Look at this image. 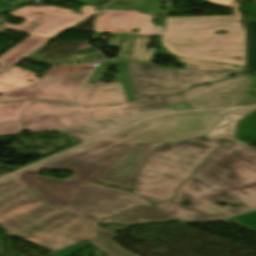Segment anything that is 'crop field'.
<instances>
[{"instance_id":"8a807250","label":"crop field","mask_w":256,"mask_h":256,"mask_svg":"<svg viewBox=\"0 0 256 256\" xmlns=\"http://www.w3.org/2000/svg\"><path fill=\"white\" fill-rule=\"evenodd\" d=\"M97 223L46 204L12 176L0 181V225L10 236L56 251L97 237Z\"/></svg>"},{"instance_id":"ac0d7876","label":"crop field","mask_w":256,"mask_h":256,"mask_svg":"<svg viewBox=\"0 0 256 256\" xmlns=\"http://www.w3.org/2000/svg\"><path fill=\"white\" fill-rule=\"evenodd\" d=\"M129 128L26 169L15 176L43 200L62 208L90 184L89 181L136 146L118 141ZM41 169H73L76 176L64 181L35 176Z\"/></svg>"},{"instance_id":"34b2d1b8","label":"crop field","mask_w":256,"mask_h":256,"mask_svg":"<svg viewBox=\"0 0 256 256\" xmlns=\"http://www.w3.org/2000/svg\"><path fill=\"white\" fill-rule=\"evenodd\" d=\"M240 4L233 16L167 18L162 45L173 56L246 66L245 28ZM228 31L227 35H215Z\"/></svg>"},{"instance_id":"412701ff","label":"crop field","mask_w":256,"mask_h":256,"mask_svg":"<svg viewBox=\"0 0 256 256\" xmlns=\"http://www.w3.org/2000/svg\"><path fill=\"white\" fill-rule=\"evenodd\" d=\"M226 141L203 136L158 148L136 179L133 194L155 203L174 197L179 184Z\"/></svg>"},{"instance_id":"f4fd0767","label":"crop field","mask_w":256,"mask_h":256,"mask_svg":"<svg viewBox=\"0 0 256 256\" xmlns=\"http://www.w3.org/2000/svg\"><path fill=\"white\" fill-rule=\"evenodd\" d=\"M96 6H84L81 8L82 14L73 13L72 10L56 6H26L16 10L9 15L27 19L22 26H15L5 23L3 26L9 30L32 34L19 45L0 57V72L13 66L46 41L54 37L57 33L66 30L75 24L83 21L93 15ZM35 11L42 14H34ZM36 21V22H33ZM43 23V24H40ZM34 23H37L36 25ZM30 26L33 32H30ZM47 43V42H46ZM36 74L14 66L7 72L0 74V93H4L25 85L33 84L38 79L34 78ZM33 79L32 81L29 79Z\"/></svg>"},{"instance_id":"dd49c442","label":"crop field","mask_w":256,"mask_h":256,"mask_svg":"<svg viewBox=\"0 0 256 256\" xmlns=\"http://www.w3.org/2000/svg\"><path fill=\"white\" fill-rule=\"evenodd\" d=\"M136 112L130 102L97 108L42 101L0 103V136L18 134L21 129L29 132L67 129Z\"/></svg>"},{"instance_id":"e52e79f7","label":"crop field","mask_w":256,"mask_h":256,"mask_svg":"<svg viewBox=\"0 0 256 256\" xmlns=\"http://www.w3.org/2000/svg\"><path fill=\"white\" fill-rule=\"evenodd\" d=\"M196 174L226 188L247 207L256 209V153L241 144H224Z\"/></svg>"},{"instance_id":"d8731c3e","label":"crop field","mask_w":256,"mask_h":256,"mask_svg":"<svg viewBox=\"0 0 256 256\" xmlns=\"http://www.w3.org/2000/svg\"><path fill=\"white\" fill-rule=\"evenodd\" d=\"M230 109L168 114L133 125L119 140L156 147L208 132Z\"/></svg>"},{"instance_id":"5a996713","label":"crop field","mask_w":256,"mask_h":256,"mask_svg":"<svg viewBox=\"0 0 256 256\" xmlns=\"http://www.w3.org/2000/svg\"><path fill=\"white\" fill-rule=\"evenodd\" d=\"M216 188L221 191H215ZM183 199H190L194 204L187 208L181 207L178 204ZM222 199L239 202L227 190L194 174L190 181L183 184L174 200L156 206L182 221L220 220L250 211L247 207L235 209L230 205L219 207L214 203Z\"/></svg>"},{"instance_id":"3316defc","label":"crop field","mask_w":256,"mask_h":256,"mask_svg":"<svg viewBox=\"0 0 256 256\" xmlns=\"http://www.w3.org/2000/svg\"><path fill=\"white\" fill-rule=\"evenodd\" d=\"M135 97L178 94L195 85L219 80L235 72L165 69L129 63ZM179 74V77H174Z\"/></svg>"},{"instance_id":"28ad6ade","label":"crop field","mask_w":256,"mask_h":256,"mask_svg":"<svg viewBox=\"0 0 256 256\" xmlns=\"http://www.w3.org/2000/svg\"><path fill=\"white\" fill-rule=\"evenodd\" d=\"M141 205L151 204L127 192L90 184L62 209L97 221Z\"/></svg>"},{"instance_id":"d1516ede","label":"crop field","mask_w":256,"mask_h":256,"mask_svg":"<svg viewBox=\"0 0 256 256\" xmlns=\"http://www.w3.org/2000/svg\"><path fill=\"white\" fill-rule=\"evenodd\" d=\"M93 70H83L64 76L43 75L38 82L0 96L1 101L41 99L71 102Z\"/></svg>"},{"instance_id":"22f410ed","label":"crop field","mask_w":256,"mask_h":256,"mask_svg":"<svg viewBox=\"0 0 256 256\" xmlns=\"http://www.w3.org/2000/svg\"><path fill=\"white\" fill-rule=\"evenodd\" d=\"M152 16L137 11L105 10L98 15L95 32L162 36L164 26L154 27ZM139 29V33H131Z\"/></svg>"},{"instance_id":"cbeb9de0","label":"crop field","mask_w":256,"mask_h":256,"mask_svg":"<svg viewBox=\"0 0 256 256\" xmlns=\"http://www.w3.org/2000/svg\"><path fill=\"white\" fill-rule=\"evenodd\" d=\"M154 150L137 145L94 180L129 188L132 179L140 173Z\"/></svg>"},{"instance_id":"5142ce71","label":"crop field","mask_w":256,"mask_h":256,"mask_svg":"<svg viewBox=\"0 0 256 256\" xmlns=\"http://www.w3.org/2000/svg\"><path fill=\"white\" fill-rule=\"evenodd\" d=\"M166 111H171L168 106L142 112V113H137V114H131V115H125L117 118H112L88 125H83L67 130H59L69 137L73 138L74 140L83 143L87 140H90L94 137H97L99 135L105 134L107 132L113 131L119 127H122L134 120L144 118L150 115L166 112Z\"/></svg>"},{"instance_id":"d9b57169","label":"crop field","mask_w":256,"mask_h":256,"mask_svg":"<svg viewBox=\"0 0 256 256\" xmlns=\"http://www.w3.org/2000/svg\"><path fill=\"white\" fill-rule=\"evenodd\" d=\"M111 35H115L116 38L112 39L110 36L109 46L121 47L119 56L118 59H104L103 61H121L149 64L157 54V52L146 50L150 36L123 34ZM121 40L125 41L122 45H120ZM129 50L135 53L132 57L126 55V52ZM121 52H123V54H121Z\"/></svg>"},{"instance_id":"733c2abd","label":"crop field","mask_w":256,"mask_h":256,"mask_svg":"<svg viewBox=\"0 0 256 256\" xmlns=\"http://www.w3.org/2000/svg\"><path fill=\"white\" fill-rule=\"evenodd\" d=\"M127 101L120 83L89 84L80 93L75 103L85 107L116 105Z\"/></svg>"},{"instance_id":"4a817a6b","label":"crop field","mask_w":256,"mask_h":256,"mask_svg":"<svg viewBox=\"0 0 256 256\" xmlns=\"http://www.w3.org/2000/svg\"><path fill=\"white\" fill-rule=\"evenodd\" d=\"M251 79H247L235 86L228 87L189 102L195 108H218L237 105L242 99L241 94L246 91Z\"/></svg>"},{"instance_id":"bc2a9ffb","label":"crop field","mask_w":256,"mask_h":256,"mask_svg":"<svg viewBox=\"0 0 256 256\" xmlns=\"http://www.w3.org/2000/svg\"><path fill=\"white\" fill-rule=\"evenodd\" d=\"M171 219H176V218L155 206H151V207L137 208L124 215L105 219V221L133 224V223H139V222H155V221H164V220H171Z\"/></svg>"},{"instance_id":"214f88e0","label":"crop field","mask_w":256,"mask_h":256,"mask_svg":"<svg viewBox=\"0 0 256 256\" xmlns=\"http://www.w3.org/2000/svg\"><path fill=\"white\" fill-rule=\"evenodd\" d=\"M105 65H108V67L109 65L118 67L120 75L115 76L116 82H121L125 96L128 101L135 99L128 63H121V62L102 63L99 67L96 68L95 72L89 79L88 83L100 82V80L102 79V77L104 76V74L108 69V67L107 69L104 68Z\"/></svg>"},{"instance_id":"92a150f3","label":"crop field","mask_w":256,"mask_h":256,"mask_svg":"<svg viewBox=\"0 0 256 256\" xmlns=\"http://www.w3.org/2000/svg\"><path fill=\"white\" fill-rule=\"evenodd\" d=\"M256 108L234 109L212 132L210 136L233 138L235 125L240 118L248 115Z\"/></svg>"},{"instance_id":"dafd665d","label":"crop field","mask_w":256,"mask_h":256,"mask_svg":"<svg viewBox=\"0 0 256 256\" xmlns=\"http://www.w3.org/2000/svg\"><path fill=\"white\" fill-rule=\"evenodd\" d=\"M177 61H179L180 64L184 65L186 69H199V70H221V71H245L246 67L238 66L233 67L236 65H225L223 63L213 62H206V61H200V60H193V59H186V58H180L177 57Z\"/></svg>"},{"instance_id":"00972430","label":"crop field","mask_w":256,"mask_h":256,"mask_svg":"<svg viewBox=\"0 0 256 256\" xmlns=\"http://www.w3.org/2000/svg\"><path fill=\"white\" fill-rule=\"evenodd\" d=\"M246 78H248V77L243 76V77H238V78L228 80V81L213 83L210 86H207V85L199 86V87H196L192 90L187 91L186 93H184L182 95L187 100V102H189L191 100H194L196 98H199L201 96H204L206 94L214 92V91L219 90L221 88L232 86V85H234V84H236V83H238V82H240V81H242Z\"/></svg>"},{"instance_id":"a9b5d70f","label":"crop field","mask_w":256,"mask_h":256,"mask_svg":"<svg viewBox=\"0 0 256 256\" xmlns=\"http://www.w3.org/2000/svg\"><path fill=\"white\" fill-rule=\"evenodd\" d=\"M246 47V71H256V22L246 21Z\"/></svg>"},{"instance_id":"4177f3b9","label":"crop field","mask_w":256,"mask_h":256,"mask_svg":"<svg viewBox=\"0 0 256 256\" xmlns=\"http://www.w3.org/2000/svg\"><path fill=\"white\" fill-rule=\"evenodd\" d=\"M100 237L107 236L108 240H102L99 238L95 239L92 243L101 248L104 252H106L110 256H137L129 251H126L120 247H118L113 241L114 235L111 231L108 230H99Z\"/></svg>"},{"instance_id":"730fd06b","label":"crop field","mask_w":256,"mask_h":256,"mask_svg":"<svg viewBox=\"0 0 256 256\" xmlns=\"http://www.w3.org/2000/svg\"><path fill=\"white\" fill-rule=\"evenodd\" d=\"M184 102L183 99L178 96H173V97H148L145 99H141L139 101H133L131 102L135 108L141 112L165 105H170V104H176V103H182Z\"/></svg>"},{"instance_id":"eef30255","label":"crop field","mask_w":256,"mask_h":256,"mask_svg":"<svg viewBox=\"0 0 256 256\" xmlns=\"http://www.w3.org/2000/svg\"><path fill=\"white\" fill-rule=\"evenodd\" d=\"M250 135L252 142H247L242 136ZM235 139L242 141L243 143L249 145L256 142V111L247 117L246 119L240 121L238 126V135Z\"/></svg>"},{"instance_id":"ae1a2a85","label":"crop field","mask_w":256,"mask_h":256,"mask_svg":"<svg viewBox=\"0 0 256 256\" xmlns=\"http://www.w3.org/2000/svg\"><path fill=\"white\" fill-rule=\"evenodd\" d=\"M226 221L229 220H233V221H237L249 228H252L254 230H256V211H251V212H247V213H243L240 214L238 216L232 217V218H228V219H224Z\"/></svg>"},{"instance_id":"d3111659","label":"crop field","mask_w":256,"mask_h":256,"mask_svg":"<svg viewBox=\"0 0 256 256\" xmlns=\"http://www.w3.org/2000/svg\"><path fill=\"white\" fill-rule=\"evenodd\" d=\"M119 2H131L129 6L113 4L107 9L138 10L151 0H118Z\"/></svg>"},{"instance_id":"750c4746","label":"crop field","mask_w":256,"mask_h":256,"mask_svg":"<svg viewBox=\"0 0 256 256\" xmlns=\"http://www.w3.org/2000/svg\"><path fill=\"white\" fill-rule=\"evenodd\" d=\"M88 245H90V242L84 241V242L69 246L67 248L61 249L59 251H56L52 254L56 256H70Z\"/></svg>"},{"instance_id":"bd1437ed","label":"crop field","mask_w":256,"mask_h":256,"mask_svg":"<svg viewBox=\"0 0 256 256\" xmlns=\"http://www.w3.org/2000/svg\"><path fill=\"white\" fill-rule=\"evenodd\" d=\"M155 2L159 3L158 1L153 0V1H151L150 4H148L147 6H145L144 8H142V9H144V10H139V12L145 13V14H149V15H156V14H158V13H164V14H166L167 11H162V10L159 9V7H160L162 4L159 3V5H157V4H154ZM149 11H152V12H155V13H154V14L148 13Z\"/></svg>"},{"instance_id":"1d83c4d3","label":"crop field","mask_w":256,"mask_h":256,"mask_svg":"<svg viewBox=\"0 0 256 256\" xmlns=\"http://www.w3.org/2000/svg\"><path fill=\"white\" fill-rule=\"evenodd\" d=\"M256 104V99L252 98L250 96H247L244 98L242 102H240L238 105L239 106H248V105H255Z\"/></svg>"},{"instance_id":"120bbe31","label":"crop field","mask_w":256,"mask_h":256,"mask_svg":"<svg viewBox=\"0 0 256 256\" xmlns=\"http://www.w3.org/2000/svg\"><path fill=\"white\" fill-rule=\"evenodd\" d=\"M234 1V0H208V3H212V4H216V5H221V6H225L228 7L229 4Z\"/></svg>"},{"instance_id":"d32e631a","label":"crop field","mask_w":256,"mask_h":256,"mask_svg":"<svg viewBox=\"0 0 256 256\" xmlns=\"http://www.w3.org/2000/svg\"><path fill=\"white\" fill-rule=\"evenodd\" d=\"M252 87L251 91L249 90L250 88ZM254 89H256V77L253 78L248 90H247V94L252 96V97H255L256 98V92H254Z\"/></svg>"},{"instance_id":"5866460e","label":"crop field","mask_w":256,"mask_h":256,"mask_svg":"<svg viewBox=\"0 0 256 256\" xmlns=\"http://www.w3.org/2000/svg\"><path fill=\"white\" fill-rule=\"evenodd\" d=\"M171 110H182V109H192L187 103L171 105L169 106Z\"/></svg>"},{"instance_id":"028f5c9d","label":"crop field","mask_w":256,"mask_h":256,"mask_svg":"<svg viewBox=\"0 0 256 256\" xmlns=\"http://www.w3.org/2000/svg\"><path fill=\"white\" fill-rule=\"evenodd\" d=\"M72 1L83 3L85 5H95L96 3H98L101 0H72Z\"/></svg>"},{"instance_id":"e1f06a70","label":"crop field","mask_w":256,"mask_h":256,"mask_svg":"<svg viewBox=\"0 0 256 256\" xmlns=\"http://www.w3.org/2000/svg\"><path fill=\"white\" fill-rule=\"evenodd\" d=\"M247 141H251L249 136L244 137Z\"/></svg>"}]
</instances>
